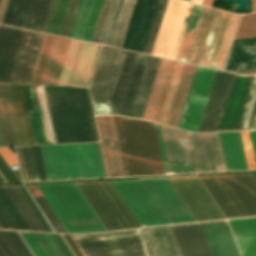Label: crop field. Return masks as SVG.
Listing matches in <instances>:
<instances>
[{"instance_id":"crop-field-4","label":"crop field","mask_w":256,"mask_h":256,"mask_svg":"<svg viewBox=\"0 0 256 256\" xmlns=\"http://www.w3.org/2000/svg\"><path fill=\"white\" fill-rule=\"evenodd\" d=\"M197 66L178 128L197 132L215 74ZM236 74L216 71L198 132L218 131Z\"/></svg>"},{"instance_id":"crop-field-58","label":"crop field","mask_w":256,"mask_h":256,"mask_svg":"<svg viewBox=\"0 0 256 256\" xmlns=\"http://www.w3.org/2000/svg\"><path fill=\"white\" fill-rule=\"evenodd\" d=\"M253 176L255 177V179H256V174H253Z\"/></svg>"},{"instance_id":"crop-field-25","label":"crop field","mask_w":256,"mask_h":256,"mask_svg":"<svg viewBox=\"0 0 256 256\" xmlns=\"http://www.w3.org/2000/svg\"><path fill=\"white\" fill-rule=\"evenodd\" d=\"M219 135L228 170L247 169L239 132Z\"/></svg>"},{"instance_id":"crop-field-42","label":"crop field","mask_w":256,"mask_h":256,"mask_svg":"<svg viewBox=\"0 0 256 256\" xmlns=\"http://www.w3.org/2000/svg\"><path fill=\"white\" fill-rule=\"evenodd\" d=\"M20 188L22 189L23 193L25 194V196L27 197L28 201L30 202V204L32 205V207L34 208L35 212L37 213V215L39 216L40 220L42 221V223L44 224L45 228L47 229V231H51V229L49 228V226L47 225L46 221L44 220V218L42 217V215L40 214V212L38 211L37 207L35 206V204L33 203V201L31 200V198L29 197L28 193L26 192V190L24 189L23 186H20Z\"/></svg>"},{"instance_id":"crop-field-47","label":"crop field","mask_w":256,"mask_h":256,"mask_svg":"<svg viewBox=\"0 0 256 256\" xmlns=\"http://www.w3.org/2000/svg\"><path fill=\"white\" fill-rule=\"evenodd\" d=\"M256 159V131H249Z\"/></svg>"},{"instance_id":"crop-field-12","label":"crop field","mask_w":256,"mask_h":256,"mask_svg":"<svg viewBox=\"0 0 256 256\" xmlns=\"http://www.w3.org/2000/svg\"><path fill=\"white\" fill-rule=\"evenodd\" d=\"M238 75V74H237ZM251 76V75H248ZM250 77L236 76L220 129H234ZM256 107V74L251 76L235 130L249 129ZM226 131V130H219Z\"/></svg>"},{"instance_id":"crop-field-23","label":"crop field","mask_w":256,"mask_h":256,"mask_svg":"<svg viewBox=\"0 0 256 256\" xmlns=\"http://www.w3.org/2000/svg\"><path fill=\"white\" fill-rule=\"evenodd\" d=\"M22 31L0 25V82L9 81Z\"/></svg>"},{"instance_id":"crop-field-57","label":"crop field","mask_w":256,"mask_h":256,"mask_svg":"<svg viewBox=\"0 0 256 256\" xmlns=\"http://www.w3.org/2000/svg\"><path fill=\"white\" fill-rule=\"evenodd\" d=\"M0 183H4V181L1 179V177H0Z\"/></svg>"},{"instance_id":"crop-field-54","label":"crop field","mask_w":256,"mask_h":256,"mask_svg":"<svg viewBox=\"0 0 256 256\" xmlns=\"http://www.w3.org/2000/svg\"><path fill=\"white\" fill-rule=\"evenodd\" d=\"M193 2H196V3H201V0H192Z\"/></svg>"},{"instance_id":"crop-field-52","label":"crop field","mask_w":256,"mask_h":256,"mask_svg":"<svg viewBox=\"0 0 256 256\" xmlns=\"http://www.w3.org/2000/svg\"><path fill=\"white\" fill-rule=\"evenodd\" d=\"M211 2H212V0H202V3H201V4L210 6V5H211Z\"/></svg>"},{"instance_id":"crop-field-48","label":"crop field","mask_w":256,"mask_h":256,"mask_svg":"<svg viewBox=\"0 0 256 256\" xmlns=\"http://www.w3.org/2000/svg\"><path fill=\"white\" fill-rule=\"evenodd\" d=\"M12 233L14 234L15 238L17 239V241L19 242V244L21 245V247L23 248L24 252L26 253L27 256H31L29 254V252L27 251V249L25 248V246L23 245L22 241L20 240V238L18 237V235L16 234V232H13Z\"/></svg>"},{"instance_id":"crop-field-13","label":"crop field","mask_w":256,"mask_h":256,"mask_svg":"<svg viewBox=\"0 0 256 256\" xmlns=\"http://www.w3.org/2000/svg\"><path fill=\"white\" fill-rule=\"evenodd\" d=\"M141 227L169 224L141 180L112 182ZM171 224V223H170Z\"/></svg>"},{"instance_id":"crop-field-17","label":"crop field","mask_w":256,"mask_h":256,"mask_svg":"<svg viewBox=\"0 0 256 256\" xmlns=\"http://www.w3.org/2000/svg\"><path fill=\"white\" fill-rule=\"evenodd\" d=\"M44 35L23 31L9 83H31Z\"/></svg>"},{"instance_id":"crop-field-8","label":"crop field","mask_w":256,"mask_h":256,"mask_svg":"<svg viewBox=\"0 0 256 256\" xmlns=\"http://www.w3.org/2000/svg\"><path fill=\"white\" fill-rule=\"evenodd\" d=\"M38 187L68 232L106 231L75 183Z\"/></svg>"},{"instance_id":"crop-field-49","label":"crop field","mask_w":256,"mask_h":256,"mask_svg":"<svg viewBox=\"0 0 256 256\" xmlns=\"http://www.w3.org/2000/svg\"><path fill=\"white\" fill-rule=\"evenodd\" d=\"M0 217H1L2 221L4 222V224L6 225V227H7L8 229H12V227H11L10 224L8 223L7 219L5 218V216L3 215V213L1 212V210H0Z\"/></svg>"},{"instance_id":"crop-field-55","label":"crop field","mask_w":256,"mask_h":256,"mask_svg":"<svg viewBox=\"0 0 256 256\" xmlns=\"http://www.w3.org/2000/svg\"><path fill=\"white\" fill-rule=\"evenodd\" d=\"M0 256H5L1 249H0Z\"/></svg>"},{"instance_id":"crop-field-53","label":"crop field","mask_w":256,"mask_h":256,"mask_svg":"<svg viewBox=\"0 0 256 256\" xmlns=\"http://www.w3.org/2000/svg\"><path fill=\"white\" fill-rule=\"evenodd\" d=\"M252 7H253V11H256L255 0H252Z\"/></svg>"},{"instance_id":"crop-field-2","label":"crop field","mask_w":256,"mask_h":256,"mask_svg":"<svg viewBox=\"0 0 256 256\" xmlns=\"http://www.w3.org/2000/svg\"><path fill=\"white\" fill-rule=\"evenodd\" d=\"M160 59L102 46L90 86L95 113L141 118Z\"/></svg>"},{"instance_id":"crop-field-5","label":"crop field","mask_w":256,"mask_h":256,"mask_svg":"<svg viewBox=\"0 0 256 256\" xmlns=\"http://www.w3.org/2000/svg\"><path fill=\"white\" fill-rule=\"evenodd\" d=\"M195 67L162 58L142 118L177 128Z\"/></svg>"},{"instance_id":"crop-field-19","label":"crop field","mask_w":256,"mask_h":256,"mask_svg":"<svg viewBox=\"0 0 256 256\" xmlns=\"http://www.w3.org/2000/svg\"><path fill=\"white\" fill-rule=\"evenodd\" d=\"M212 256H239L226 221L200 223Z\"/></svg>"},{"instance_id":"crop-field-60","label":"crop field","mask_w":256,"mask_h":256,"mask_svg":"<svg viewBox=\"0 0 256 256\" xmlns=\"http://www.w3.org/2000/svg\"><path fill=\"white\" fill-rule=\"evenodd\" d=\"M189 1H191V0H189Z\"/></svg>"},{"instance_id":"crop-field-44","label":"crop field","mask_w":256,"mask_h":256,"mask_svg":"<svg viewBox=\"0 0 256 256\" xmlns=\"http://www.w3.org/2000/svg\"><path fill=\"white\" fill-rule=\"evenodd\" d=\"M230 225L235 224H246V223H256V217L254 218H244V219H234V220H228Z\"/></svg>"},{"instance_id":"crop-field-51","label":"crop field","mask_w":256,"mask_h":256,"mask_svg":"<svg viewBox=\"0 0 256 256\" xmlns=\"http://www.w3.org/2000/svg\"><path fill=\"white\" fill-rule=\"evenodd\" d=\"M0 146H5L4 140H3V135H2L1 126H0Z\"/></svg>"},{"instance_id":"crop-field-28","label":"crop field","mask_w":256,"mask_h":256,"mask_svg":"<svg viewBox=\"0 0 256 256\" xmlns=\"http://www.w3.org/2000/svg\"><path fill=\"white\" fill-rule=\"evenodd\" d=\"M230 227L241 256H256V224Z\"/></svg>"},{"instance_id":"crop-field-40","label":"crop field","mask_w":256,"mask_h":256,"mask_svg":"<svg viewBox=\"0 0 256 256\" xmlns=\"http://www.w3.org/2000/svg\"><path fill=\"white\" fill-rule=\"evenodd\" d=\"M14 188L16 189L17 193L19 194V196L21 197L22 201L24 202V204L26 205V207L28 208L29 212L31 213V215L33 216L34 220L36 221V223L38 224L39 228L41 229V231H46V229L44 228L43 224L41 223V221L39 220L38 216L36 215V213L34 212V210L32 209L31 205L29 204V202L27 201L26 197L24 196V194L22 193L21 189L19 188V186H14ZM14 189V190H15Z\"/></svg>"},{"instance_id":"crop-field-6","label":"crop field","mask_w":256,"mask_h":256,"mask_svg":"<svg viewBox=\"0 0 256 256\" xmlns=\"http://www.w3.org/2000/svg\"><path fill=\"white\" fill-rule=\"evenodd\" d=\"M44 88L57 143L97 141L85 89Z\"/></svg>"},{"instance_id":"crop-field-11","label":"crop field","mask_w":256,"mask_h":256,"mask_svg":"<svg viewBox=\"0 0 256 256\" xmlns=\"http://www.w3.org/2000/svg\"><path fill=\"white\" fill-rule=\"evenodd\" d=\"M78 248L142 242L137 230L71 235ZM83 256H147L142 243L80 249Z\"/></svg>"},{"instance_id":"crop-field-18","label":"crop field","mask_w":256,"mask_h":256,"mask_svg":"<svg viewBox=\"0 0 256 256\" xmlns=\"http://www.w3.org/2000/svg\"><path fill=\"white\" fill-rule=\"evenodd\" d=\"M49 0H9L4 24L41 30Z\"/></svg>"},{"instance_id":"crop-field-27","label":"crop field","mask_w":256,"mask_h":256,"mask_svg":"<svg viewBox=\"0 0 256 256\" xmlns=\"http://www.w3.org/2000/svg\"><path fill=\"white\" fill-rule=\"evenodd\" d=\"M45 256H74L59 234L31 232Z\"/></svg>"},{"instance_id":"crop-field-33","label":"crop field","mask_w":256,"mask_h":256,"mask_svg":"<svg viewBox=\"0 0 256 256\" xmlns=\"http://www.w3.org/2000/svg\"><path fill=\"white\" fill-rule=\"evenodd\" d=\"M0 155L5 160V162L10 167L11 165H17L16 158L10 147H2L0 148ZM0 156V172L8 181V183L19 182L7 164Z\"/></svg>"},{"instance_id":"crop-field-34","label":"crop field","mask_w":256,"mask_h":256,"mask_svg":"<svg viewBox=\"0 0 256 256\" xmlns=\"http://www.w3.org/2000/svg\"><path fill=\"white\" fill-rule=\"evenodd\" d=\"M256 36V13L241 15L234 39Z\"/></svg>"},{"instance_id":"crop-field-29","label":"crop field","mask_w":256,"mask_h":256,"mask_svg":"<svg viewBox=\"0 0 256 256\" xmlns=\"http://www.w3.org/2000/svg\"><path fill=\"white\" fill-rule=\"evenodd\" d=\"M69 0H50L43 23V32L59 34Z\"/></svg>"},{"instance_id":"crop-field-45","label":"crop field","mask_w":256,"mask_h":256,"mask_svg":"<svg viewBox=\"0 0 256 256\" xmlns=\"http://www.w3.org/2000/svg\"><path fill=\"white\" fill-rule=\"evenodd\" d=\"M0 247L3 250V252L5 253L6 256H14L12 254V252L10 251V249L8 248L5 241L3 240V238L1 237V235H0Z\"/></svg>"},{"instance_id":"crop-field-20","label":"crop field","mask_w":256,"mask_h":256,"mask_svg":"<svg viewBox=\"0 0 256 256\" xmlns=\"http://www.w3.org/2000/svg\"><path fill=\"white\" fill-rule=\"evenodd\" d=\"M102 4L103 0H80L69 37L91 41Z\"/></svg>"},{"instance_id":"crop-field-36","label":"crop field","mask_w":256,"mask_h":256,"mask_svg":"<svg viewBox=\"0 0 256 256\" xmlns=\"http://www.w3.org/2000/svg\"><path fill=\"white\" fill-rule=\"evenodd\" d=\"M78 2H79V0H70L69 6H68V9H67V12H66V15H65V18H64L62 28H61V31H60L59 35L66 36V37L69 36V32H70V29H71V26H72V22H73V19H74V16H75V12H76V9H77V6H78Z\"/></svg>"},{"instance_id":"crop-field-15","label":"crop field","mask_w":256,"mask_h":256,"mask_svg":"<svg viewBox=\"0 0 256 256\" xmlns=\"http://www.w3.org/2000/svg\"><path fill=\"white\" fill-rule=\"evenodd\" d=\"M69 40L45 35L31 84H58Z\"/></svg>"},{"instance_id":"crop-field-16","label":"crop field","mask_w":256,"mask_h":256,"mask_svg":"<svg viewBox=\"0 0 256 256\" xmlns=\"http://www.w3.org/2000/svg\"><path fill=\"white\" fill-rule=\"evenodd\" d=\"M142 181L171 224L195 221L167 178Z\"/></svg>"},{"instance_id":"crop-field-32","label":"crop field","mask_w":256,"mask_h":256,"mask_svg":"<svg viewBox=\"0 0 256 256\" xmlns=\"http://www.w3.org/2000/svg\"><path fill=\"white\" fill-rule=\"evenodd\" d=\"M46 220L55 232H67L44 196L33 197Z\"/></svg>"},{"instance_id":"crop-field-3","label":"crop field","mask_w":256,"mask_h":256,"mask_svg":"<svg viewBox=\"0 0 256 256\" xmlns=\"http://www.w3.org/2000/svg\"><path fill=\"white\" fill-rule=\"evenodd\" d=\"M126 176L165 174L155 125L112 116ZM111 116H96L109 177L125 176Z\"/></svg>"},{"instance_id":"crop-field-46","label":"crop field","mask_w":256,"mask_h":256,"mask_svg":"<svg viewBox=\"0 0 256 256\" xmlns=\"http://www.w3.org/2000/svg\"><path fill=\"white\" fill-rule=\"evenodd\" d=\"M7 2L8 0H0V23L2 22Z\"/></svg>"},{"instance_id":"crop-field-1","label":"crop field","mask_w":256,"mask_h":256,"mask_svg":"<svg viewBox=\"0 0 256 256\" xmlns=\"http://www.w3.org/2000/svg\"><path fill=\"white\" fill-rule=\"evenodd\" d=\"M188 4L169 0L151 54L171 57ZM238 17L203 6L197 24L179 33L171 58L222 69Z\"/></svg>"},{"instance_id":"crop-field-39","label":"crop field","mask_w":256,"mask_h":256,"mask_svg":"<svg viewBox=\"0 0 256 256\" xmlns=\"http://www.w3.org/2000/svg\"><path fill=\"white\" fill-rule=\"evenodd\" d=\"M31 148H32V152H33V156H34V160H35L39 180L40 181L47 180L46 176H45V172H44V167H43V162H42V158H41L40 148H39V146H31Z\"/></svg>"},{"instance_id":"crop-field-38","label":"crop field","mask_w":256,"mask_h":256,"mask_svg":"<svg viewBox=\"0 0 256 256\" xmlns=\"http://www.w3.org/2000/svg\"><path fill=\"white\" fill-rule=\"evenodd\" d=\"M0 233L15 256H26L11 231L0 230Z\"/></svg>"},{"instance_id":"crop-field-7","label":"crop field","mask_w":256,"mask_h":256,"mask_svg":"<svg viewBox=\"0 0 256 256\" xmlns=\"http://www.w3.org/2000/svg\"><path fill=\"white\" fill-rule=\"evenodd\" d=\"M40 148L48 180L105 177L96 143Z\"/></svg>"},{"instance_id":"crop-field-14","label":"crop field","mask_w":256,"mask_h":256,"mask_svg":"<svg viewBox=\"0 0 256 256\" xmlns=\"http://www.w3.org/2000/svg\"><path fill=\"white\" fill-rule=\"evenodd\" d=\"M196 221L225 218L198 177L169 179Z\"/></svg>"},{"instance_id":"crop-field-9","label":"crop field","mask_w":256,"mask_h":256,"mask_svg":"<svg viewBox=\"0 0 256 256\" xmlns=\"http://www.w3.org/2000/svg\"><path fill=\"white\" fill-rule=\"evenodd\" d=\"M199 178L227 218L256 215V182L251 174Z\"/></svg>"},{"instance_id":"crop-field-37","label":"crop field","mask_w":256,"mask_h":256,"mask_svg":"<svg viewBox=\"0 0 256 256\" xmlns=\"http://www.w3.org/2000/svg\"><path fill=\"white\" fill-rule=\"evenodd\" d=\"M248 169H256V163L248 131L240 132Z\"/></svg>"},{"instance_id":"crop-field-31","label":"crop field","mask_w":256,"mask_h":256,"mask_svg":"<svg viewBox=\"0 0 256 256\" xmlns=\"http://www.w3.org/2000/svg\"><path fill=\"white\" fill-rule=\"evenodd\" d=\"M3 189L5 190L6 194L8 195L10 200L12 201V203L15 206V208L17 209V211L19 212L20 216L22 217V219L26 223L29 230L40 231L37 224L33 220L32 216L30 215V213L26 209L25 205L21 201L20 197L18 196V194L14 190L13 186L3 187Z\"/></svg>"},{"instance_id":"crop-field-35","label":"crop field","mask_w":256,"mask_h":256,"mask_svg":"<svg viewBox=\"0 0 256 256\" xmlns=\"http://www.w3.org/2000/svg\"><path fill=\"white\" fill-rule=\"evenodd\" d=\"M78 42L79 41H77V40H73V39L70 40V44L68 47L67 55L65 58L64 66L62 69V73H61V77H60L58 85H66L67 84V80H68L71 66H72V63L74 60Z\"/></svg>"},{"instance_id":"crop-field-30","label":"crop field","mask_w":256,"mask_h":256,"mask_svg":"<svg viewBox=\"0 0 256 256\" xmlns=\"http://www.w3.org/2000/svg\"><path fill=\"white\" fill-rule=\"evenodd\" d=\"M0 208L10 222L13 229L28 230L2 187H0Z\"/></svg>"},{"instance_id":"crop-field-56","label":"crop field","mask_w":256,"mask_h":256,"mask_svg":"<svg viewBox=\"0 0 256 256\" xmlns=\"http://www.w3.org/2000/svg\"><path fill=\"white\" fill-rule=\"evenodd\" d=\"M0 176L2 177V179L5 181V183H7V181L4 179V177L1 175V173H0Z\"/></svg>"},{"instance_id":"crop-field-10","label":"crop field","mask_w":256,"mask_h":256,"mask_svg":"<svg viewBox=\"0 0 256 256\" xmlns=\"http://www.w3.org/2000/svg\"><path fill=\"white\" fill-rule=\"evenodd\" d=\"M106 229L140 227L110 181L76 183Z\"/></svg>"},{"instance_id":"crop-field-43","label":"crop field","mask_w":256,"mask_h":256,"mask_svg":"<svg viewBox=\"0 0 256 256\" xmlns=\"http://www.w3.org/2000/svg\"><path fill=\"white\" fill-rule=\"evenodd\" d=\"M62 236L64 237V239L66 240V242L70 246V248L73 251V253L75 254V256H82L81 252L79 251V249L77 248V246L75 245V243L71 239V237L69 235H62Z\"/></svg>"},{"instance_id":"crop-field-59","label":"crop field","mask_w":256,"mask_h":256,"mask_svg":"<svg viewBox=\"0 0 256 256\" xmlns=\"http://www.w3.org/2000/svg\"><path fill=\"white\" fill-rule=\"evenodd\" d=\"M254 129H256V123H255V127H254Z\"/></svg>"},{"instance_id":"crop-field-41","label":"crop field","mask_w":256,"mask_h":256,"mask_svg":"<svg viewBox=\"0 0 256 256\" xmlns=\"http://www.w3.org/2000/svg\"><path fill=\"white\" fill-rule=\"evenodd\" d=\"M21 234L23 235V237L25 238V240L27 241V243L29 244L30 248L32 249V251L34 252V254L36 256H44V254L40 250L39 246L37 245V243L33 239L30 232H21Z\"/></svg>"},{"instance_id":"crop-field-26","label":"crop field","mask_w":256,"mask_h":256,"mask_svg":"<svg viewBox=\"0 0 256 256\" xmlns=\"http://www.w3.org/2000/svg\"><path fill=\"white\" fill-rule=\"evenodd\" d=\"M24 145L35 144L22 85H10Z\"/></svg>"},{"instance_id":"crop-field-21","label":"crop field","mask_w":256,"mask_h":256,"mask_svg":"<svg viewBox=\"0 0 256 256\" xmlns=\"http://www.w3.org/2000/svg\"><path fill=\"white\" fill-rule=\"evenodd\" d=\"M0 121L6 146L23 145L9 85L0 84Z\"/></svg>"},{"instance_id":"crop-field-22","label":"crop field","mask_w":256,"mask_h":256,"mask_svg":"<svg viewBox=\"0 0 256 256\" xmlns=\"http://www.w3.org/2000/svg\"><path fill=\"white\" fill-rule=\"evenodd\" d=\"M172 227L184 256H211L199 223Z\"/></svg>"},{"instance_id":"crop-field-50","label":"crop field","mask_w":256,"mask_h":256,"mask_svg":"<svg viewBox=\"0 0 256 256\" xmlns=\"http://www.w3.org/2000/svg\"><path fill=\"white\" fill-rule=\"evenodd\" d=\"M17 234L19 235V237L21 238V240H22L23 243L25 244V246H26V248L28 249V251L30 252V254H31L32 256H35V255L33 254V252L31 251V249L29 248V246L27 245V243H26V241L24 240V238L22 237V235L20 234V232H17Z\"/></svg>"},{"instance_id":"crop-field-24","label":"crop field","mask_w":256,"mask_h":256,"mask_svg":"<svg viewBox=\"0 0 256 256\" xmlns=\"http://www.w3.org/2000/svg\"><path fill=\"white\" fill-rule=\"evenodd\" d=\"M96 44L79 42L76 58L67 85L86 87L97 50Z\"/></svg>"}]
</instances>
